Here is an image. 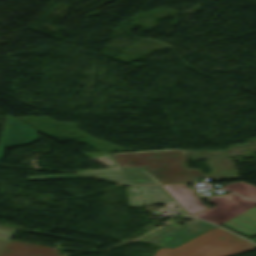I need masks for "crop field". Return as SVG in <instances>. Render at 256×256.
<instances>
[{"label":"crop field","instance_id":"crop-field-1","mask_svg":"<svg viewBox=\"0 0 256 256\" xmlns=\"http://www.w3.org/2000/svg\"><path fill=\"white\" fill-rule=\"evenodd\" d=\"M120 167L143 166L160 183L197 181L205 177L187 170L183 151H155L111 154Z\"/></svg>","mask_w":256,"mask_h":256},{"label":"crop field","instance_id":"crop-field-12","mask_svg":"<svg viewBox=\"0 0 256 256\" xmlns=\"http://www.w3.org/2000/svg\"><path fill=\"white\" fill-rule=\"evenodd\" d=\"M222 188L228 189L240 195L256 200V187L248 185L246 183H243V182L233 183V184L225 185Z\"/></svg>","mask_w":256,"mask_h":256},{"label":"crop field","instance_id":"crop-field-2","mask_svg":"<svg viewBox=\"0 0 256 256\" xmlns=\"http://www.w3.org/2000/svg\"><path fill=\"white\" fill-rule=\"evenodd\" d=\"M253 249L256 244L216 226L174 249L161 247L153 256H231Z\"/></svg>","mask_w":256,"mask_h":256},{"label":"crop field","instance_id":"crop-field-15","mask_svg":"<svg viewBox=\"0 0 256 256\" xmlns=\"http://www.w3.org/2000/svg\"><path fill=\"white\" fill-rule=\"evenodd\" d=\"M87 176L81 174L75 175H47V176H33L27 177L28 180H44V179H64V178H84Z\"/></svg>","mask_w":256,"mask_h":256},{"label":"crop field","instance_id":"crop-field-5","mask_svg":"<svg viewBox=\"0 0 256 256\" xmlns=\"http://www.w3.org/2000/svg\"><path fill=\"white\" fill-rule=\"evenodd\" d=\"M78 172L129 184L159 183L143 167L84 170Z\"/></svg>","mask_w":256,"mask_h":256},{"label":"crop field","instance_id":"crop-field-8","mask_svg":"<svg viewBox=\"0 0 256 256\" xmlns=\"http://www.w3.org/2000/svg\"><path fill=\"white\" fill-rule=\"evenodd\" d=\"M190 214L206 208L185 184L162 185Z\"/></svg>","mask_w":256,"mask_h":256},{"label":"crop field","instance_id":"crop-field-4","mask_svg":"<svg viewBox=\"0 0 256 256\" xmlns=\"http://www.w3.org/2000/svg\"><path fill=\"white\" fill-rule=\"evenodd\" d=\"M209 202L217 206L193 216L217 225L256 205V202L230 192L226 195L212 196Z\"/></svg>","mask_w":256,"mask_h":256},{"label":"crop field","instance_id":"crop-field-7","mask_svg":"<svg viewBox=\"0 0 256 256\" xmlns=\"http://www.w3.org/2000/svg\"><path fill=\"white\" fill-rule=\"evenodd\" d=\"M0 256H61L56 248L9 240Z\"/></svg>","mask_w":256,"mask_h":256},{"label":"crop field","instance_id":"crop-field-10","mask_svg":"<svg viewBox=\"0 0 256 256\" xmlns=\"http://www.w3.org/2000/svg\"><path fill=\"white\" fill-rule=\"evenodd\" d=\"M137 187L142 192L144 205L178 203L161 185Z\"/></svg>","mask_w":256,"mask_h":256},{"label":"crop field","instance_id":"crop-field-13","mask_svg":"<svg viewBox=\"0 0 256 256\" xmlns=\"http://www.w3.org/2000/svg\"><path fill=\"white\" fill-rule=\"evenodd\" d=\"M126 190L129 199V207L142 206L140 193L137 191L135 186L128 187Z\"/></svg>","mask_w":256,"mask_h":256},{"label":"crop field","instance_id":"crop-field-3","mask_svg":"<svg viewBox=\"0 0 256 256\" xmlns=\"http://www.w3.org/2000/svg\"><path fill=\"white\" fill-rule=\"evenodd\" d=\"M187 219L191 221V224L203 229L204 231L215 226L191 217ZM204 231L190 225L183 228L175 223H172L139 241L174 248L175 246L195 237Z\"/></svg>","mask_w":256,"mask_h":256},{"label":"crop field","instance_id":"crop-field-9","mask_svg":"<svg viewBox=\"0 0 256 256\" xmlns=\"http://www.w3.org/2000/svg\"><path fill=\"white\" fill-rule=\"evenodd\" d=\"M221 225L245 236L256 234V206L222 223Z\"/></svg>","mask_w":256,"mask_h":256},{"label":"crop field","instance_id":"crop-field-6","mask_svg":"<svg viewBox=\"0 0 256 256\" xmlns=\"http://www.w3.org/2000/svg\"><path fill=\"white\" fill-rule=\"evenodd\" d=\"M36 140L34 129L8 117L0 139V158L4 147L21 146Z\"/></svg>","mask_w":256,"mask_h":256},{"label":"crop field","instance_id":"crop-field-11","mask_svg":"<svg viewBox=\"0 0 256 256\" xmlns=\"http://www.w3.org/2000/svg\"><path fill=\"white\" fill-rule=\"evenodd\" d=\"M211 174L206 175L210 179H222L238 177L233 161L230 158L206 160Z\"/></svg>","mask_w":256,"mask_h":256},{"label":"crop field","instance_id":"crop-field-14","mask_svg":"<svg viewBox=\"0 0 256 256\" xmlns=\"http://www.w3.org/2000/svg\"><path fill=\"white\" fill-rule=\"evenodd\" d=\"M16 230L17 229L15 228L0 226V251L4 248Z\"/></svg>","mask_w":256,"mask_h":256}]
</instances>
